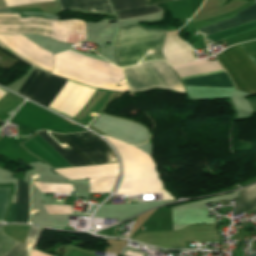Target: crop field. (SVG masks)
I'll list each match as a JSON object with an SVG mask.
<instances>
[{
  "label": "crop field",
  "mask_w": 256,
  "mask_h": 256,
  "mask_svg": "<svg viewBox=\"0 0 256 256\" xmlns=\"http://www.w3.org/2000/svg\"><path fill=\"white\" fill-rule=\"evenodd\" d=\"M54 149H56L73 167L98 165L117 162L108 145L91 132L59 135L51 133L60 143H66L72 151L63 149L46 132H38Z\"/></svg>",
  "instance_id": "crop-field-1"
},
{
  "label": "crop field",
  "mask_w": 256,
  "mask_h": 256,
  "mask_svg": "<svg viewBox=\"0 0 256 256\" xmlns=\"http://www.w3.org/2000/svg\"><path fill=\"white\" fill-rule=\"evenodd\" d=\"M164 34L165 30L145 29L136 24L118 28L114 49L117 65L126 67L136 64L149 48L156 52L152 56L148 54L142 62L163 59L160 49Z\"/></svg>",
  "instance_id": "crop-field-2"
},
{
  "label": "crop field",
  "mask_w": 256,
  "mask_h": 256,
  "mask_svg": "<svg viewBox=\"0 0 256 256\" xmlns=\"http://www.w3.org/2000/svg\"><path fill=\"white\" fill-rule=\"evenodd\" d=\"M130 91L164 87L184 92L183 86L167 63L149 61L123 70Z\"/></svg>",
  "instance_id": "crop-field-3"
},
{
  "label": "crop field",
  "mask_w": 256,
  "mask_h": 256,
  "mask_svg": "<svg viewBox=\"0 0 256 256\" xmlns=\"http://www.w3.org/2000/svg\"><path fill=\"white\" fill-rule=\"evenodd\" d=\"M235 84V89L256 94V68L239 44L216 55Z\"/></svg>",
  "instance_id": "crop-field-4"
},
{
  "label": "crop field",
  "mask_w": 256,
  "mask_h": 256,
  "mask_svg": "<svg viewBox=\"0 0 256 256\" xmlns=\"http://www.w3.org/2000/svg\"><path fill=\"white\" fill-rule=\"evenodd\" d=\"M35 72L36 69L33 68V70L31 71L30 75L28 76L22 87L17 91L18 93L21 94L23 89L28 86ZM68 81L69 80H65L60 77L39 70L32 83L30 82L31 84L28 87V89L25 88L24 91L26 89L27 90L24 94L23 91L22 94L23 96L48 108Z\"/></svg>",
  "instance_id": "crop-field-5"
},
{
  "label": "crop field",
  "mask_w": 256,
  "mask_h": 256,
  "mask_svg": "<svg viewBox=\"0 0 256 256\" xmlns=\"http://www.w3.org/2000/svg\"><path fill=\"white\" fill-rule=\"evenodd\" d=\"M203 63H208V62L203 60L193 61V62L184 63V64H180L178 66H173V67L174 69H177V68L198 65ZM220 69L221 68L219 67V65L215 62V63H209V64L193 66V67H188L183 69H177L176 72L179 74L180 77H183V76L194 75V74L215 71ZM222 72L223 70L194 75V76H188V77H183L182 80L211 75V74H217ZM182 83L184 86L233 87V84L231 83L227 73L183 81Z\"/></svg>",
  "instance_id": "crop-field-6"
},
{
  "label": "crop field",
  "mask_w": 256,
  "mask_h": 256,
  "mask_svg": "<svg viewBox=\"0 0 256 256\" xmlns=\"http://www.w3.org/2000/svg\"><path fill=\"white\" fill-rule=\"evenodd\" d=\"M256 20V5L237 13L236 17L198 30L202 35L215 34Z\"/></svg>",
  "instance_id": "crop-field-7"
},
{
  "label": "crop field",
  "mask_w": 256,
  "mask_h": 256,
  "mask_svg": "<svg viewBox=\"0 0 256 256\" xmlns=\"http://www.w3.org/2000/svg\"><path fill=\"white\" fill-rule=\"evenodd\" d=\"M41 229L36 227H30L27 239L28 241H33V246L37 240V237L40 233ZM7 236V235H6ZM2 232V227L0 228V256L5 253L16 241L6 237ZM30 250V252L32 251ZM28 250H26L25 245L16 242L5 254L2 256H27Z\"/></svg>",
  "instance_id": "crop-field-8"
},
{
  "label": "crop field",
  "mask_w": 256,
  "mask_h": 256,
  "mask_svg": "<svg viewBox=\"0 0 256 256\" xmlns=\"http://www.w3.org/2000/svg\"><path fill=\"white\" fill-rule=\"evenodd\" d=\"M61 10L114 13L109 0H57Z\"/></svg>",
  "instance_id": "crop-field-9"
},
{
  "label": "crop field",
  "mask_w": 256,
  "mask_h": 256,
  "mask_svg": "<svg viewBox=\"0 0 256 256\" xmlns=\"http://www.w3.org/2000/svg\"><path fill=\"white\" fill-rule=\"evenodd\" d=\"M28 220V195L27 184L17 180L16 209L13 221L27 223Z\"/></svg>",
  "instance_id": "crop-field-10"
},
{
  "label": "crop field",
  "mask_w": 256,
  "mask_h": 256,
  "mask_svg": "<svg viewBox=\"0 0 256 256\" xmlns=\"http://www.w3.org/2000/svg\"><path fill=\"white\" fill-rule=\"evenodd\" d=\"M255 208L256 185L241 190L232 215L254 210Z\"/></svg>",
  "instance_id": "crop-field-11"
},
{
  "label": "crop field",
  "mask_w": 256,
  "mask_h": 256,
  "mask_svg": "<svg viewBox=\"0 0 256 256\" xmlns=\"http://www.w3.org/2000/svg\"><path fill=\"white\" fill-rule=\"evenodd\" d=\"M160 10L161 9L159 7L153 5V6H145L137 9L119 11V12H116L115 14H116V19H120V18L148 14V13H152Z\"/></svg>",
  "instance_id": "crop-field-12"
},
{
  "label": "crop field",
  "mask_w": 256,
  "mask_h": 256,
  "mask_svg": "<svg viewBox=\"0 0 256 256\" xmlns=\"http://www.w3.org/2000/svg\"><path fill=\"white\" fill-rule=\"evenodd\" d=\"M240 45L242 46L244 51L247 53L249 58L252 60V62L256 66V40L242 43ZM247 102L250 105L252 111H256V99H249L247 100Z\"/></svg>",
  "instance_id": "crop-field-13"
},
{
  "label": "crop field",
  "mask_w": 256,
  "mask_h": 256,
  "mask_svg": "<svg viewBox=\"0 0 256 256\" xmlns=\"http://www.w3.org/2000/svg\"><path fill=\"white\" fill-rule=\"evenodd\" d=\"M114 11L145 6V0H111Z\"/></svg>",
  "instance_id": "crop-field-14"
},
{
  "label": "crop field",
  "mask_w": 256,
  "mask_h": 256,
  "mask_svg": "<svg viewBox=\"0 0 256 256\" xmlns=\"http://www.w3.org/2000/svg\"><path fill=\"white\" fill-rule=\"evenodd\" d=\"M256 38V29L224 39L228 46Z\"/></svg>",
  "instance_id": "crop-field-15"
},
{
  "label": "crop field",
  "mask_w": 256,
  "mask_h": 256,
  "mask_svg": "<svg viewBox=\"0 0 256 256\" xmlns=\"http://www.w3.org/2000/svg\"><path fill=\"white\" fill-rule=\"evenodd\" d=\"M10 189H0V221L4 220L8 201H9Z\"/></svg>",
  "instance_id": "crop-field-16"
},
{
  "label": "crop field",
  "mask_w": 256,
  "mask_h": 256,
  "mask_svg": "<svg viewBox=\"0 0 256 256\" xmlns=\"http://www.w3.org/2000/svg\"><path fill=\"white\" fill-rule=\"evenodd\" d=\"M167 1H173V0H146V4L147 5L158 4V3L167 2Z\"/></svg>",
  "instance_id": "crop-field-17"
},
{
  "label": "crop field",
  "mask_w": 256,
  "mask_h": 256,
  "mask_svg": "<svg viewBox=\"0 0 256 256\" xmlns=\"http://www.w3.org/2000/svg\"><path fill=\"white\" fill-rule=\"evenodd\" d=\"M30 256H51V255H48V254L41 253V252H38V251L33 250V251L30 253Z\"/></svg>",
  "instance_id": "crop-field-18"
},
{
  "label": "crop field",
  "mask_w": 256,
  "mask_h": 256,
  "mask_svg": "<svg viewBox=\"0 0 256 256\" xmlns=\"http://www.w3.org/2000/svg\"><path fill=\"white\" fill-rule=\"evenodd\" d=\"M14 209H15V207H11L10 208V212H9V216H8V220L7 221H11V219L13 217Z\"/></svg>",
  "instance_id": "crop-field-19"
},
{
  "label": "crop field",
  "mask_w": 256,
  "mask_h": 256,
  "mask_svg": "<svg viewBox=\"0 0 256 256\" xmlns=\"http://www.w3.org/2000/svg\"><path fill=\"white\" fill-rule=\"evenodd\" d=\"M11 205H14V197H12Z\"/></svg>",
  "instance_id": "crop-field-20"
}]
</instances>
